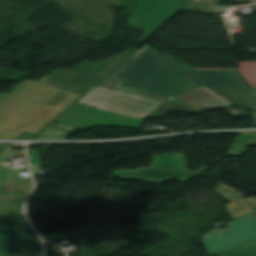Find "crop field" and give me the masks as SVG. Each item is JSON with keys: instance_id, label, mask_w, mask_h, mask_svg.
<instances>
[{"instance_id": "21", "label": "crop field", "mask_w": 256, "mask_h": 256, "mask_svg": "<svg viewBox=\"0 0 256 256\" xmlns=\"http://www.w3.org/2000/svg\"><path fill=\"white\" fill-rule=\"evenodd\" d=\"M252 145H256V140L253 141V142H251V143H249V144H246V145H244V146L238 147V148L233 149V150L228 151V152L231 153V154H234V155L238 156V155H240L241 153L245 152V151L247 150V149H246L247 147L252 146Z\"/></svg>"}, {"instance_id": "14", "label": "crop field", "mask_w": 256, "mask_h": 256, "mask_svg": "<svg viewBox=\"0 0 256 256\" xmlns=\"http://www.w3.org/2000/svg\"><path fill=\"white\" fill-rule=\"evenodd\" d=\"M43 254L41 243L0 246V256H30Z\"/></svg>"}, {"instance_id": "7", "label": "crop field", "mask_w": 256, "mask_h": 256, "mask_svg": "<svg viewBox=\"0 0 256 256\" xmlns=\"http://www.w3.org/2000/svg\"><path fill=\"white\" fill-rule=\"evenodd\" d=\"M189 0H137L139 3L128 19L129 23L142 28L144 40Z\"/></svg>"}, {"instance_id": "18", "label": "crop field", "mask_w": 256, "mask_h": 256, "mask_svg": "<svg viewBox=\"0 0 256 256\" xmlns=\"http://www.w3.org/2000/svg\"><path fill=\"white\" fill-rule=\"evenodd\" d=\"M28 153H31L29 155V157H30V164H35V166H30V171H31L32 174H36V173L39 172V164H38L39 158H38V154H36L35 151L32 150V149H29Z\"/></svg>"}, {"instance_id": "19", "label": "crop field", "mask_w": 256, "mask_h": 256, "mask_svg": "<svg viewBox=\"0 0 256 256\" xmlns=\"http://www.w3.org/2000/svg\"><path fill=\"white\" fill-rule=\"evenodd\" d=\"M33 139H65V137L43 130L39 135Z\"/></svg>"}, {"instance_id": "17", "label": "crop field", "mask_w": 256, "mask_h": 256, "mask_svg": "<svg viewBox=\"0 0 256 256\" xmlns=\"http://www.w3.org/2000/svg\"><path fill=\"white\" fill-rule=\"evenodd\" d=\"M256 138V133H242L236 141L231 144L229 147L234 148L242 143L248 142Z\"/></svg>"}, {"instance_id": "30", "label": "crop field", "mask_w": 256, "mask_h": 256, "mask_svg": "<svg viewBox=\"0 0 256 256\" xmlns=\"http://www.w3.org/2000/svg\"><path fill=\"white\" fill-rule=\"evenodd\" d=\"M254 1H256V0H254Z\"/></svg>"}, {"instance_id": "24", "label": "crop field", "mask_w": 256, "mask_h": 256, "mask_svg": "<svg viewBox=\"0 0 256 256\" xmlns=\"http://www.w3.org/2000/svg\"><path fill=\"white\" fill-rule=\"evenodd\" d=\"M32 137H34V135L25 133L24 135H22V136H21L20 138H18V139H31Z\"/></svg>"}, {"instance_id": "10", "label": "crop field", "mask_w": 256, "mask_h": 256, "mask_svg": "<svg viewBox=\"0 0 256 256\" xmlns=\"http://www.w3.org/2000/svg\"><path fill=\"white\" fill-rule=\"evenodd\" d=\"M26 198L0 199V227H30L22 213Z\"/></svg>"}, {"instance_id": "16", "label": "crop field", "mask_w": 256, "mask_h": 256, "mask_svg": "<svg viewBox=\"0 0 256 256\" xmlns=\"http://www.w3.org/2000/svg\"><path fill=\"white\" fill-rule=\"evenodd\" d=\"M45 130L64 135L66 137L77 131L76 129H72L54 122H52L49 126H47Z\"/></svg>"}, {"instance_id": "23", "label": "crop field", "mask_w": 256, "mask_h": 256, "mask_svg": "<svg viewBox=\"0 0 256 256\" xmlns=\"http://www.w3.org/2000/svg\"><path fill=\"white\" fill-rule=\"evenodd\" d=\"M250 202V204L252 205V207L255 209L256 208V198L252 197L250 199H246Z\"/></svg>"}, {"instance_id": "26", "label": "crop field", "mask_w": 256, "mask_h": 256, "mask_svg": "<svg viewBox=\"0 0 256 256\" xmlns=\"http://www.w3.org/2000/svg\"><path fill=\"white\" fill-rule=\"evenodd\" d=\"M6 94H0V100L5 96Z\"/></svg>"}, {"instance_id": "5", "label": "crop field", "mask_w": 256, "mask_h": 256, "mask_svg": "<svg viewBox=\"0 0 256 256\" xmlns=\"http://www.w3.org/2000/svg\"><path fill=\"white\" fill-rule=\"evenodd\" d=\"M185 155L180 153H168L163 156H155L153 168H141L135 171H115V177L125 180H145L153 184H160L166 180L184 182L204 171L207 166L190 172L184 169Z\"/></svg>"}, {"instance_id": "3", "label": "crop field", "mask_w": 256, "mask_h": 256, "mask_svg": "<svg viewBox=\"0 0 256 256\" xmlns=\"http://www.w3.org/2000/svg\"><path fill=\"white\" fill-rule=\"evenodd\" d=\"M76 103L89 104L97 109L143 121L148 117L161 118L167 112L200 111L182 101L119 86L113 90L95 85Z\"/></svg>"}, {"instance_id": "12", "label": "crop field", "mask_w": 256, "mask_h": 256, "mask_svg": "<svg viewBox=\"0 0 256 256\" xmlns=\"http://www.w3.org/2000/svg\"><path fill=\"white\" fill-rule=\"evenodd\" d=\"M233 102L256 111V92L248 87H209Z\"/></svg>"}, {"instance_id": "27", "label": "crop field", "mask_w": 256, "mask_h": 256, "mask_svg": "<svg viewBox=\"0 0 256 256\" xmlns=\"http://www.w3.org/2000/svg\"><path fill=\"white\" fill-rule=\"evenodd\" d=\"M253 118H254V120H255V122H256V114H253Z\"/></svg>"}, {"instance_id": "11", "label": "crop field", "mask_w": 256, "mask_h": 256, "mask_svg": "<svg viewBox=\"0 0 256 256\" xmlns=\"http://www.w3.org/2000/svg\"><path fill=\"white\" fill-rule=\"evenodd\" d=\"M176 97H179L180 99L184 100L185 102L191 104L192 106L198 109L231 104V102L220 97L219 95L212 92L205 86H201V87L186 91L182 94L177 95Z\"/></svg>"}, {"instance_id": "15", "label": "crop field", "mask_w": 256, "mask_h": 256, "mask_svg": "<svg viewBox=\"0 0 256 256\" xmlns=\"http://www.w3.org/2000/svg\"><path fill=\"white\" fill-rule=\"evenodd\" d=\"M181 10L221 14V0H191Z\"/></svg>"}, {"instance_id": "25", "label": "crop field", "mask_w": 256, "mask_h": 256, "mask_svg": "<svg viewBox=\"0 0 256 256\" xmlns=\"http://www.w3.org/2000/svg\"><path fill=\"white\" fill-rule=\"evenodd\" d=\"M221 187H222V188H225V189H227V190H230V191H232V192L236 191V190H234V189H232V188H230V187L224 186V185H222V184H221Z\"/></svg>"}, {"instance_id": "8", "label": "crop field", "mask_w": 256, "mask_h": 256, "mask_svg": "<svg viewBox=\"0 0 256 256\" xmlns=\"http://www.w3.org/2000/svg\"><path fill=\"white\" fill-rule=\"evenodd\" d=\"M16 155L25 154L24 151H11L6 148L0 153V198L29 196L32 190L33 182L31 178H23L20 174V172H27L26 167L20 170H12L11 165H2V163L9 161L7 156Z\"/></svg>"}, {"instance_id": "13", "label": "crop field", "mask_w": 256, "mask_h": 256, "mask_svg": "<svg viewBox=\"0 0 256 256\" xmlns=\"http://www.w3.org/2000/svg\"><path fill=\"white\" fill-rule=\"evenodd\" d=\"M40 242L31 228H0V245Z\"/></svg>"}, {"instance_id": "1", "label": "crop field", "mask_w": 256, "mask_h": 256, "mask_svg": "<svg viewBox=\"0 0 256 256\" xmlns=\"http://www.w3.org/2000/svg\"><path fill=\"white\" fill-rule=\"evenodd\" d=\"M128 52L97 63L84 61L72 71H54L40 83H19L0 101V139L25 131L37 134Z\"/></svg>"}, {"instance_id": "29", "label": "crop field", "mask_w": 256, "mask_h": 256, "mask_svg": "<svg viewBox=\"0 0 256 256\" xmlns=\"http://www.w3.org/2000/svg\"><path fill=\"white\" fill-rule=\"evenodd\" d=\"M3 147H4V146H1V145H0V149H2Z\"/></svg>"}, {"instance_id": "28", "label": "crop field", "mask_w": 256, "mask_h": 256, "mask_svg": "<svg viewBox=\"0 0 256 256\" xmlns=\"http://www.w3.org/2000/svg\"><path fill=\"white\" fill-rule=\"evenodd\" d=\"M13 145H16V144H12V145H10L9 147H7V148H10L11 146H13Z\"/></svg>"}, {"instance_id": "31", "label": "crop field", "mask_w": 256, "mask_h": 256, "mask_svg": "<svg viewBox=\"0 0 256 256\" xmlns=\"http://www.w3.org/2000/svg\"><path fill=\"white\" fill-rule=\"evenodd\" d=\"M42 256V255H41Z\"/></svg>"}, {"instance_id": "22", "label": "crop field", "mask_w": 256, "mask_h": 256, "mask_svg": "<svg viewBox=\"0 0 256 256\" xmlns=\"http://www.w3.org/2000/svg\"><path fill=\"white\" fill-rule=\"evenodd\" d=\"M160 48H222V49H232V47H160Z\"/></svg>"}, {"instance_id": "4", "label": "crop field", "mask_w": 256, "mask_h": 256, "mask_svg": "<svg viewBox=\"0 0 256 256\" xmlns=\"http://www.w3.org/2000/svg\"><path fill=\"white\" fill-rule=\"evenodd\" d=\"M232 217L227 231L214 229L203 235L209 255L256 256V215L244 198L225 206Z\"/></svg>"}, {"instance_id": "6", "label": "crop field", "mask_w": 256, "mask_h": 256, "mask_svg": "<svg viewBox=\"0 0 256 256\" xmlns=\"http://www.w3.org/2000/svg\"><path fill=\"white\" fill-rule=\"evenodd\" d=\"M54 122L77 128L89 129L95 125L124 126L140 129L143 122L111 114L106 111L74 103L63 112Z\"/></svg>"}, {"instance_id": "9", "label": "crop field", "mask_w": 256, "mask_h": 256, "mask_svg": "<svg viewBox=\"0 0 256 256\" xmlns=\"http://www.w3.org/2000/svg\"><path fill=\"white\" fill-rule=\"evenodd\" d=\"M205 86H246L237 71H195L186 63H174Z\"/></svg>"}, {"instance_id": "20", "label": "crop field", "mask_w": 256, "mask_h": 256, "mask_svg": "<svg viewBox=\"0 0 256 256\" xmlns=\"http://www.w3.org/2000/svg\"><path fill=\"white\" fill-rule=\"evenodd\" d=\"M216 193L220 194L223 196L224 199H227L229 200L230 202L238 199V198H241L240 196L234 194V193H231L229 191H226V190H223L219 187L216 188Z\"/></svg>"}, {"instance_id": "2", "label": "crop field", "mask_w": 256, "mask_h": 256, "mask_svg": "<svg viewBox=\"0 0 256 256\" xmlns=\"http://www.w3.org/2000/svg\"><path fill=\"white\" fill-rule=\"evenodd\" d=\"M114 80L136 89L166 96H174L201 86L149 46L141 52H133L97 85L106 87Z\"/></svg>"}]
</instances>
